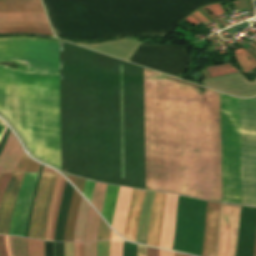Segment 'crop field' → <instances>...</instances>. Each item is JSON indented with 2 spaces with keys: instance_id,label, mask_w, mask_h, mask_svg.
Wrapping results in <instances>:
<instances>
[{
  "instance_id": "1",
  "label": "crop field",
  "mask_w": 256,
  "mask_h": 256,
  "mask_svg": "<svg viewBox=\"0 0 256 256\" xmlns=\"http://www.w3.org/2000/svg\"><path fill=\"white\" fill-rule=\"evenodd\" d=\"M240 206L220 204L215 256H234Z\"/></svg>"
},
{
  "instance_id": "2",
  "label": "crop field",
  "mask_w": 256,
  "mask_h": 256,
  "mask_svg": "<svg viewBox=\"0 0 256 256\" xmlns=\"http://www.w3.org/2000/svg\"><path fill=\"white\" fill-rule=\"evenodd\" d=\"M57 174L42 173L32 214L28 237L42 239L45 236L46 218Z\"/></svg>"
},
{
  "instance_id": "3",
  "label": "crop field",
  "mask_w": 256,
  "mask_h": 256,
  "mask_svg": "<svg viewBox=\"0 0 256 256\" xmlns=\"http://www.w3.org/2000/svg\"><path fill=\"white\" fill-rule=\"evenodd\" d=\"M37 174L26 173L16 201L9 235L22 236L26 221L27 210Z\"/></svg>"
},
{
  "instance_id": "4",
  "label": "crop field",
  "mask_w": 256,
  "mask_h": 256,
  "mask_svg": "<svg viewBox=\"0 0 256 256\" xmlns=\"http://www.w3.org/2000/svg\"><path fill=\"white\" fill-rule=\"evenodd\" d=\"M24 173H14L0 205V234L9 233L12 213Z\"/></svg>"
},
{
  "instance_id": "5",
  "label": "crop field",
  "mask_w": 256,
  "mask_h": 256,
  "mask_svg": "<svg viewBox=\"0 0 256 256\" xmlns=\"http://www.w3.org/2000/svg\"><path fill=\"white\" fill-rule=\"evenodd\" d=\"M166 194L155 193L152 204L148 235L146 244L152 246H159L161 223L165 205Z\"/></svg>"
},
{
  "instance_id": "6",
  "label": "crop field",
  "mask_w": 256,
  "mask_h": 256,
  "mask_svg": "<svg viewBox=\"0 0 256 256\" xmlns=\"http://www.w3.org/2000/svg\"><path fill=\"white\" fill-rule=\"evenodd\" d=\"M219 204L208 202L202 256H214Z\"/></svg>"
},
{
  "instance_id": "7",
  "label": "crop field",
  "mask_w": 256,
  "mask_h": 256,
  "mask_svg": "<svg viewBox=\"0 0 256 256\" xmlns=\"http://www.w3.org/2000/svg\"><path fill=\"white\" fill-rule=\"evenodd\" d=\"M145 192L146 191L133 189L130 198V204L123 236L134 242L136 238L137 224Z\"/></svg>"
},
{
  "instance_id": "8",
  "label": "crop field",
  "mask_w": 256,
  "mask_h": 256,
  "mask_svg": "<svg viewBox=\"0 0 256 256\" xmlns=\"http://www.w3.org/2000/svg\"><path fill=\"white\" fill-rule=\"evenodd\" d=\"M176 202L177 196L167 194L159 247L171 249L175 223Z\"/></svg>"
},
{
  "instance_id": "9",
  "label": "crop field",
  "mask_w": 256,
  "mask_h": 256,
  "mask_svg": "<svg viewBox=\"0 0 256 256\" xmlns=\"http://www.w3.org/2000/svg\"><path fill=\"white\" fill-rule=\"evenodd\" d=\"M23 153L18 140L10 132L5 147L0 154V171L13 172Z\"/></svg>"
},
{
  "instance_id": "10",
  "label": "crop field",
  "mask_w": 256,
  "mask_h": 256,
  "mask_svg": "<svg viewBox=\"0 0 256 256\" xmlns=\"http://www.w3.org/2000/svg\"><path fill=\"white\" fill-rule=\"evenodd\" d=\"M65 182L66 180L58 174L50 209L48 212L45 240L54 241V229Z\"/></svg>"
},
{
  "instance_id": "11",
  "label": "crop field",
  "mask_w": 256,
  "mask_h": 256,
  "mask_svg": "<svg viewBox=\"0 0 256 256\" xmlns=\"http://www.w3.org/2000/svg\"><path fill=\"white\" fill-rule=\"evenodd\" d=\"M130 188L120 187L118 201L114 213L112 227L121 235H123L124 223L127 214L129 198L131 194Z\"/></svg>"
},
{
  "instance_id": "12",
  "label": "crop field",
  "mask_w": 256,
  "mask_h": 256,
  "mask_svg": "<svg viewBox=\"0 0 256 256\" xmlns=\"http://www.w3.org/2000/svg\"><path fill=\"white\" fill-rule=\"evenodd\" d=\"M153 195L154 193L152 192H148V191L146 192V196L142 206L140 220L138 224V230H137L136 242L138 243L145 244V241H146V234H147L148 221H149Z\"/></svg>"
},
{
  "instance_id": "13",
  "label": "crop field",
  "mask_w": 256,
  "mask_h": 256,
  "mask_svg": "<svg viewBox=\"0 0 256 256\" xmlns=\"http://www.w3.org/2000/svg\"><path fill=\"white\" fill-rule=\"evenodd\" d=\"M80 199L81 196L74 190L69 206V212L63 241H73V229L76 221Z\"/></svg>"
},
{
  "instance_id": "14",
  "label": "crop field",
  "mask_w": 256,
  "mask_h": 256,
  "mask_svg": "<svg viewBox=\"0 0 256 256\" xmlns=\"http://www.w3.org/2000/svg\"><path fill=\"white\" fill-rule=\"evenodd\" d=\"M118 189L119 187L117 186L108 185L106 191L102 215L109 222L110 225L112 224L113 213L117 201Z\"/></svg>"
},
{
  "instance_id": "15",
  "label": "crop field",
  "mask_w": 256,
  "mask_h": 256,
  "mask_svg": "<svg viewBox=\"0 0 256 256\" xmlns=\"http://www.w3.org/2000/svg\"><path fill=\"white\" fill-rule=\"evenodd\" d=\"M100 217L90 207L84 230V241L97 240V230Z\"/></svg>"
},
{
  "instance_id": "16",
  "label": "crop field",
  "mask_w": 256,
  "mask_h": 256,
  "mask_svg": "<svg viewBox=\"0 0 256 256\" xmlns=\"http://www.w3.org/2000/svg\"><path fill=\"white\" fill-rule=\"evenodd\" d=\"M88 207L89 205L82 198L80 207H79L76 226L74 230V241H83V229H84V225H85V221L88 213Z\"/></svg>"
},
{
  "instance_id": "17",
  "label": "crop field",
  "mask_w": 256,
  "mask_h": 256,
  "mask_svg": "<svg viewBox=\"0 0 256 256\" xmlns=\"http://www.w3.org/2000/svg\"><path fill=\"white\" fill-rule=\"evenodd\" d=\"M106 184L97 183L95 184L94 193L92 197L91 203L94 205V207L101 213L103 200L105 196L106 191Z\"/></svg>"
},
{
  "instance_id": "18",
  "label": "crop field",
  "mask_w": 256,
  "mask_h": 256,
  "mask_svg": "<svg viewBox=\"0 0 256 256\" xmlns=\"http://www.w3.org/2000/svg\"><path fill=\"white\" fill-rule=\"evenodd\" d=\"M12 238L15 256H27L26 239Z\"/></svg>"
},
{
  "instance_id": "19",
  "label": "crop field",
  "mask_w": 256,
  "mask_h": 256,
  "mask_svg": "<svg viewBox=\"0 0 256 256\" xmlns=\"http://www.w3.org/2000/svg\"><path fill=\"white\" fill-rule=\"evenodd\" d=\"M29 256H44L43 242L28 239Z\"/></svg>"
},
{
  "instance_id": "20",
  "label": "crop field",
  "mask_w": 256,
  "mask_h": 256,
  "mask_svg": "<svg viewBox=\"0 0 256 256\" xmlns=\"http://www.w3.org/2000/svg\"><path fill=\"white\" fill-rule=\"evenodd\" d=\"M110 231L111 229L108 228L101 219L98 231V240H109Z\"/></svg>"
},
{
  "instance_id": "21",
  "label": "crop field",
  "mask_w": 256,
  "mask_h": 256,
  "mask_svg": "<svg viewBox=\"0 0 256 256\" xmlns=\"http://www.w3.org/2000/svg\"><path fill=\"white\" fill-rule=\"evenodd\" d=\"M123 242L111 241L110 256H122Z\"/></svg>"
},
{
  "instance_id": "22",
  "label": "crop field",
  "mask_w": 256,
  "mask_h": 256,
  "mask_svg": "<svg viewBox=\"0 0 256 256\" xmlns=\"http://www.w3.org/2000/svg\"><path fill=\"white\" fill-rule=\"evenodd\" d=\"M97 242L84 243V256H96Z\"/></svg>"
},
{
  "instance_id": "23",
  "label": "crop field",
  "mask_w": 256,
  "mask_h": 256,
  "mask_svg": "<svg viewBox=\"0 0 256 256\" xmlns=\"http://www.w3.org/2000/svg\"><path fill=\"white\" fill-rule=\"evenodd\" d=\"M109 243L107 242H98L97 256H109Z\"/></svg>"
},
{
  "instance_id": "24",
  "label": "crop field",
  "mask_w": 256,
  "mask_h": 256,
  "mask_svg": "<svg viewBox=\"0 0 256 256\" xmlns=\"http://www.w3.org/2000/svg\"><path fill=\"white\" fill-rule=\"evenodd\" d=\"M95 182L85 181L84 189L82 194L90 201Z\"/></svg>"
},
{
  "instance_id": "25",
  "label": "crop field",
  "mask_w": 256,
  "mask_h": 256,
  "mask_svg": "<svg viewBox=\"0 0 256 256\" xmlns=\"http://www.w3.org/2000/svg\"><path fill=\"white\" fill-rule=\"evenodd\" d=\"M13 173H4L1 180H0V201H1V197L2 194L11 178Z\"/></svg>"
},
{
  "instance_id": "26",
  "label": "crop field",
  "mask_w": 256,
  "mask_h": 256,
  "mask_svg": "<svg viewBox=\"0 0 256 256\" xmlns=\"http://www.w3.org/2000/svg\"><path fill=\"white\" fill-rule=\"evenodd\" d=\"M29 157L26 156L24 153L22 159L20 160L18 166L16 167L15 171L25 172L27 163L29 161Z\"/></svg>"
},
{
  "instance_id": "27",
  "label": "crop field",
  "mask_w": 256,
  "mask_h": 256,
  "mask_svg": "<svg viewBox=\"0 0 256 256\" xmlns=\"http://www.w3.org/2000/svg\"><path fill=\"white\" fill-rule=\"evenodd\" d=\"M39 166H40V164H38L35 161L30 159L26 172H37Z\"/></svg>"
},
{
  "instance_id": "28",
  "label": "crop field",
  "mask_w": 256,
  "mask_h": 256,
  "mask_svg": "<svg viewBox=\"0 0 256 256\" xmlns=\"http://www.w3.org/2000/svg\"><path fill=\"white\" fill-rule=\"evenodd\" d=\"M0 256H7L5 237L0 236Z\"/></svg>"
},
{
  "instance_id": "29",
  "label": "crop field",
  "mask_w": 256,
  "mask_h": 256,
  "mask_svg": "<svg viewBox=\"0 0 256 256\" xmlns=\"http://www.w3.org/2000/svg\"><path fill=\"white\" fill-rule=\"evenodd\" d=\"M74 256H83V243H74Z\"/></svg>"
},
{
  "instance_id": "30",
  "label": "crop field",
  "mask_w": 256,
  "mask_h": 256,
  "mask_svg": "<svg viewBox=\"0 0 256 256\" xmlns=\"http://www.w3.org/2000/svg\"><path fill=\"white\" fill-rule=\"evenodd\" d=\"M65 256H73V243H64Z\"/></svg>"
},
{
  "instance_id": "31",
  "label": "crop field",
  "mask_w": 256,
  "mask_h": 256,
  "mask_svg": "<svg viewBox=\"0 0 256 256\" xmlns=\"http://www.w3.org/2000/svg\"><path fill=\"white\" fill-rule=\"evenodd\" d=\"M136 256H146V247L137 245Z\"/></svg>"
},
{
  "instance_id": "32",
  "label": "crop field",
  "mask_w": 256,
  "mask_h": 256,
  "mask_svg": "<svg viewBox=\"0 0 256 256\" xmlns=\"http://www.w3.org/2000/svg\"><path fill=\"white\" fill-rule=\"evenodd\" d=\"M147 256H159V250L147 247Z\"/></svg>"
},
{
  "instance_id": "33",
  "label": "crop field",
  "mask_w": 256,
  "mask_h": 256,
  "mask_svg": "<svg viewBox=\"0 0 256 256\" xmlns=\"http://www.w3.org/2000/svg\"><path fill=\"white\" fill-rule=\"evenodd\" d=\"M84 181H85V180L79 179V178H77V180H76L75 186L77 187V189H78L80 192H82L83 185H84Z\"/></svg>"
},
{
  "instance_id": "34",
  "label": "crop field",
  "mask_w": 256,
  "mask_h": 256,
  "mask_svg": "<svg viewBox=\"0 0 256 256\" xmlns=\"http://www.w3.org/2000/svg\"><path fill=\"white\" fill-rule=\"evenodd\" d=\"M110 240H123L119 236H117L113 231H111Z\"/></svg>"
},
{
  "instance_id": "35",
  "label": "crop field",
  "mask_w": 256,
  "mask_h": 256,
  "mask_svg": "<svg viewBox=\"0 0 256 256\" xmlns=\"http://www.w3.org/2000/svg\"><path fill=\"white\" fill-rule=\"evenodd\" d=\"M174 253L160 250V256H173Z\"/></svg>"
},
{
  "instance_id": "36",
  "label": "crop field",
  "mask_w": 256,
  "mask_h": 256,
  "mask_svg": "<svg viewBox=\"0 0 256 256\" xmlns=\"http://www.w3.org/2000/svg\"><path fill=\"white\" fill-rule=\"evenodd\" d=\"M8 242H9L11 256H14L13 248H12V238L10 236H8Z\"/></svg>"
},
{
  "instance_id": "37",
  "label": "crop field",
  "mask_w": 256,
  "mask_h": 256,
  "mask_svg": "<svg viewBox=\"0 0 256 256\" xmlns=\"http://www.w3.org/2000/svg\"><path fill=\"white\" fill-rule=\"evenodd\" d=\"M68 179H69L73 184L75 183V179H76L75 177H72V176L69 175Z\"/></svg>"
},
{
  "instance_id": "38",
  "label": "crop field",
  "mask_w": 256,
  "mask_h": 256,
  "mask_svg": "<svg viewBox=\"0 0 256 256\" xmlns=\"http://www.w3.org/2000/svg\"><path fill=\"white\" fill-rule=\"evenodd\" d=\"M175 256H187V255H183V254H177V253H175Z\"/></svg>"
},
{
  "instance_id": "39",
  "label": "crop field",
  "mask_w": 256,
  "mask_h": 256,
  "mask_svg": "<svg viewBox=\"0 0 256 256\" xmlns=\"http://www.w3.org/2000/svg\"><path fill=\"white\" fill-rule=\"evenodd\" d=\"M2 129H3V126L0 124V133H1Z\"/></svg>"
},
{
  "instance_id": "40",
  "label": "crop field",
  "mask_w": 256,
  "mask_h": 256,
  "mask_svg": "<svg viewBox=\"0 0 256 256\" xmlns=\"http://www.w3.org/2000/svg\"><path fill=\"white\" fill-rule=\"evenodd\" d=\"M254 256H256V244H255V252H254Z\"/></svg>"
},
{
  "instance_id": "41",
  "label": "crop field",
  "mask_w": 256,
  "mask_h": 256,
  "mask_svg": "<svg viewBox=\"0 0 256 256\" xmlns=\"http://www.w3.org/2000/svg\"><path fill=\"white\" fill-rule=\"evenodd\" d=\"M2 173H0V176H1Z\"/></svg>"
}]
</instances>
